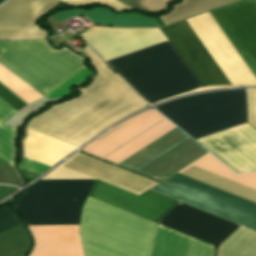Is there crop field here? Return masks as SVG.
I'll return each mask as SVG.
<instances>
[{
	"label": "crop field",
	"mask_w": 256,
	"mask_h": 256,
	"mask_svg": "<svg viewBox=\"0 0 256 256\" xmlns=\"http://www.w3.org/2000/svg\"><path fill=\"white\" fill-rule=\"evenodd\" d=\"M60 166L82 173L121 189L142 194L157 183L134 175L77 152ZM58 166L41 180L92 179ZM96 181L90 197L158 222L178 201L146 191L137 196L106 183ZM158 224L217 246L239 225L179 202ZM217 256H256V232L240 226L221 244Z\"/></svg>",
	"instance_id": "obj_1"
},
{
	"label": "crop field",
	"mask_w": 256,
	"mask_h": 256,
	"mask_svg": "<svg viewBox=\"0 0 256 256\" xmlns=\"http://www.w3.org/2000/svg\"><path fill=\"white\" fill-rule=\"evenodd\" d=\"M106 62L167 41L159 28H100L80 35ZM149 104L203 86L169 41L108 62Z\"/></svg>",
	"instance_id": "obj_2"
},
{
	"label": "crop field",
	"mask_w": 256,
	"mask_h": 256,
	"mask_svg": "<svg viewBox=\"0 0 256 256\" xmlns=\"http://www.w3.org/2000/svg\"><path fill=\"white\" fill-rule=\"evenodd\" d=\"M174 127L150 109L113 127L82 151L117 164ZM206 152L176 127L118 165L162 181Z\"/></svg>",
	"instance_id": "obj_3"
},
{
	"label": "crop field",
	"mask_w": 256,
	"mask_h": 256,
	"mask_svg": "<svg viewBox=\"0 0 256 256\" xmlns=\"http://www.w3.org/2000/svg\"><path fill=\"white\" fill-rule=\"evenodd\" d=\"M98 74L82 95L31 119L27 126L77 146L121 119L148 107L88 46Z\"/></svg>",
	"instance_id": "obj_4"
},
{
	"label": "crop field",
	"mask_w": 256,
	"mask_h": 256,
	"mask_svg": "<svg viewBox=\"0 0 256 256\" xmlns=\"http://www.w3.org/2000/svg\"><path fill=\"white\" fill-rule=\"evenodd\" d=\"M193 164L256 188V172L236 175L210 153L178 172ZM195 165L182 173L256 202V189ZM182 173L152 190L256 231V203Z\"/></svg>",
	"instance_id": "obj_5"
},
{
	"label": "crop field",
	"mask_w": 256,
	"mask_h": 256,
	"mask_svg": "<svg viewBox=\"0 0 256 256\" xmlns=\"http://www.w3.org/2000/svg\"><path fill=\"white\" fill-rule=\"evenodd\" d=\"M186 20L232 85H256V78L209 12ZM186 20L160 29L203 85H231Z\"/></svg>",
	"instance_id": "obj_6"
},
{
	"label": "crop field",
	"mask_w": 256,
	"mask_h": 256,
	"mask_svg": "<svg viewBox=\"0 0 256 256\" xmlns=\"http://www.w3.org/2000/svg\"><path fill=\"white\" fill-rule=\"evenodd\" d=\"M156 226L88 197L80 223L85 256H151Z\"/></svg>",
	"instance_id": "obj_7"
},
{
	"label": "crop field",
	"mask_w": 256,
	"mask_h": 256,
	"mask_svg": "<svg viewBox=\"0 0 256 256\" xmlns=\"http://www.w3.org/2000/svg\"><path fill=\"white\" fill-rule=\"evenodd\" d=\"M247 108L248 122L256 127V88L247 89ZM247 108L242 89L187 97L156 110L196 139L246 122Z\"/></svg>",
	"instance_id": "obj_8"
},
{
	"label": "crop field",
	"mask_w": 256,
	"mask_h": 256,
	"mask_svg": "<svg viewBox=\"0 0 256 256\" xmlns=\"http://www.w3.org/2000/svg\"><path fill=\"white\" fill-rule=\"evenodd\" d=\"M65 49L54 51L45 39L0 41V64L44 96L83 66Z\"/></svg>",
	"instance_id": "obj_9"
},
{
	"label": "crop field",
	"mask_w": 256,
	"mask_h": 256,
	"mask_svg": "<svg viewBox=\"0 0 256 256\" xmlns=\"http://www.w3.org/2000/svg\"><path fill=\"white\" fill-rule=\"evenodd\" d=\"M94 180L38 181L14 203L25 224H79L80 209Z\"/></svg>",
	"instance_id": "obj_10"
},
{
	"label": "crop field",
	"mask_w": 256,
	"mask_h": 256,
	"mask_svg": "<svg viewBox=\"0 0 256 256\" xmlns=\"http://www.w3.org/2000/svg\"><path fill=\"white\" fill-rule=\"evenodd\" d=\"M256 77V0L209 11Z\"/></svg>",
	"instance_id": "obj_11"
},
{
	"label": "crop field",
	"mask_w": 256,
	"mask_h": 256,
	"mask_svg": "<svg viewBox=\"0 0 256 256\" xmlns=\"http://www.w3.org/2000/svg\"><path fill=\"white\" fill-rule=\"evenodd\" d=\"M196 141L236 172L256 170V129L248 122Z\"/></svg>",
	"instance_id": "obj_12"
},
{
	"label": "crop field",
	"mask_w": 256,
	"mask_h": 256,
	"mask_svg": "<svg viewBox=\"0 0 256 256\" xmlns=\"http://www.w3.org/2000/svg\"><path fill=\"white\" fill-rule=\"evenodd\" d=\"M58 1L10 0L0 7V38L9 40L41 39L47 31L35 26L37 20Z\"/></svg>",
	"instance_id": "obj_13"
},
{
	"label": "crop field",
	"mask_w": 256,
	"mask_h": 256,
	"mask_svg": "<svg viewBox=\"0 0 256 256\" xmlns=\"http://www.w3.org/2000/svg\"><path fill=\"white\" fill-rule=\"evenodd\" d=\"M23 156L51 167L75 150L76 146L26 127Z\"/></svg>",
	"instance_id": "obj_14"
},
{
	"label": "crop field",
	"mask_w": 256,
	"mask_h": 256,
	"mask_svg": "<svg viewBox=\"0 0 256 256\" xmlns=\"http://www.w3.org/2000/svg\"><path fill=\"white\" fill-rule=\"evenodd\" d=\"M189 237L166 227H158L153 256H186ZM213 246L190 237L187 256H212Z\"/></svg>",
	"instance_id": "obj_15"
},
{
	"label": "crop field",
	"mask_w": 256,
	"mask_h": 256,
	"mask_svg": "<svg viewBox=\"0 0 256 256\" xmlns=\"http://www.w3.org/2000/svg\"><path fill=\"white\" fill-rule=\"evenodd\" d=\"M83 14L88 17L92 23L109 24L117 26H159L155 19L138 14L123 13L112 14L105 8L93 10H69L52 16L57 22L71 17L73 15Z\"/></svg>",
	"instance_id": "obj_16"
},
{
	"label": "crop field",
	"mask_w": 256,
	"mask_h": 256,
	"mask_svg": "<svg viewBox=\"0 0 256 256\" xmlns=\"http://www.w3.org/2000/svg\"><path fill=\"white\" fill-rule=\"evenodd\" d=\"M16 112L0 99V157L10 165H13L15 161V128H10L2 124ZM1 158L0 165H9Z\"/></svg>",
	"instance_id": "obj_17"
},
{
	"label": "crop field",
	"mask_w": 256,
	"mask_h": 256,
	"mask_svg": "<svg viewBox=\"0 0 256 256\" xmlns=\"http://www.w3.org/2000/svg\"><path fill=\"white\" fill-rule=\"evenodd\" d=\"M0 83L27 104L43 97L0 65Z\"/></svg>",
	"instance_id": "obj_18"
},
{
	"label": "crop field",
	"mask_w": 256,
	"mask_h": 256,
	"mask_svg": "<svg viewBox=\"0 0 256 256\" xmlns=\"http://www.w3.org/2000/svg\"><path fill=\"white\" fill-rule=\"evenodd\" d=\"M66 4L72 5L74 7L85 5V4H106L115 9V11L120 10H135L117 0H58Z\"/></svg>",
	"instance_id": "obj_19"
},
{
	"label": "crop field",
	"mask_w": 256,
	"mask_h": 256,
	"mask_svg": "<svg viewBox=\"0 0 256 256\" xmlns=\"http://www.w3.org/2000/svg\"><path fill=\"white\" fill-rule=\"evenodd\" d=\"M21 224L18 216L8 208L0 211V233Z\"/></svg>",
	"instance_id": "obj_20"
},
{
	"label": "crop field",
	"mask_w": 256,
	"mask_h": 256,
	"mask_svg": "<svg viewBox=\"0 0 256 256\" xmlns=\"http://www.w3.org/2000/svg\"><path fill=\"white\" fill-rule=\"evenodd\" d=\"M0 98H2L5 102H7L10 106H12L17 111L26 105L1 85H0Z\"/></svg>",
	"instance_id": "obj_21"
},
{
	"label": "crop field",
	"mask_w": 256,
	"mask_h": 256,
	"mask_svg": "<svg viewBox=\"0 0 256 256\" xmlns=\"http://www.w3.org/2000/svg\"><path fill=\"white\" fill-rule=\"evenodd\" d=\"M170 0H138L140 4L151 12H160L166 9V3Z\"/></svg>",
	"instance_id": "obj_22"
},
{
	"label": "crop field",
	"mask_w": 256,
	"mask_h": 256,
	"mask_svg": "<svg viewBox=\"0 0 256 256\" xmlns=\"http://www.w3.org/2000/svg\"><path fill=\"white\" fill-rule=\"evenodd\" d=\"M16 189L12 187H5V186H0V200L8 196L9 194L15 192Z\"/></svg>",
	"instance_id": "obj_23"
}]
</instances>
